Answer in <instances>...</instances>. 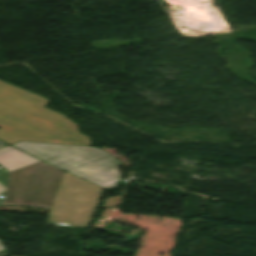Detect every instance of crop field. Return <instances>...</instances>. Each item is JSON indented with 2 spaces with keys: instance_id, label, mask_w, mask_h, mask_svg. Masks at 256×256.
Masks as SVG:
<instances>
[{
  "instance_id": "crop-field-4",
  "label": "crop field",
  "mask_w": 256,
  "mask_h": 256,
  "mask_svg": "<svg viewBox=\"0 0 256 256\" xmlns=\"http://www.w3.org/2000/svg\"><path fill=\"white\" fill-rule=\"evenodd\" d=\"M0 256H8L4 246L1 245V242H0Z\"/></svg>"
},
{
  "instance_id": "crop-field-3",
  "label": "crop field",
  "mask_w": 256,
  "mask_h": 256,
  "mask_svg": "<svg viewBox=\"0 0 256 256\" xmlns=\"http://www.w3.org/2000/svg\"><path fill=\"white\" fill-rule=\"evenodd\" d=\"M0 165L10 172L0 175L7 190L1 206H32L50 209L64 171L13 147L0 149ZM3 186V187H4ZM0 186V192L3 191Z\"/></svg>"
},
{
  "instance_id": "crop-field-2",
  "label": "crop field",
  "mask_w": 256,
  "mask_h": 256,
  "mask_svg": "<svg viewBox=\"0 0 256 256\" xmlns=\"http://www.w3.org/2000/svg\"><path fill=\"white\" fill-rule=\"evenodd\" d=\"M49 100L0 81V139L12 145L20 141L91 145L88 136L64 115L43 106Z\"/></svg>"
},
{
  "instance_id": "crop-field-1",
  "label": "crop field",
  "mask_w": 256,
  "mask_h": 256,
  "mask_svg": "<svg viewBox=\"0 0 256 256\" xmlns=\"http://www.w3.org/2000/svg\"><path fill=\"white\" fill-rule=\"evenodd\" d=\"M13 146L106 190L122 179L117 169L122 164L98 148L30 142ZM67 172L47 224L87 226L103 189Z\"/></svg>"
},
{
  "instance_id": "crop-field-5",
  "label": "crop field",
  "mask_w": 256,
  "mask_h": 256,
  "mask_svg": "<svg viewBox=\"0 0 256 256\" xmlns=\"http://www.w3.org/2000/svg\"><path fill=\"white\" fill-rule=\"evenodd\" d=\"M3 146H6V145L0 142V148L3 147Z\"/></svg>"
}]
</instances>
